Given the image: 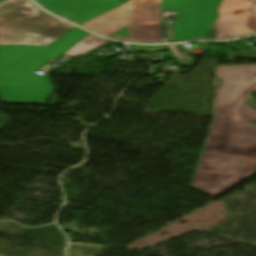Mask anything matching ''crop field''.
Returning <instances> with one entry per match:
<instances>
[{
	"mask_svg": "<svg viewBox=\"0 0 256 256\" xmlns=\"http://www.w3.org/2000/svg\"><path fill=\"white\" fill-rule=\"evenodd\" d=\"M222 80L213 105V121L199 163L256 166V110L237 102L256 82V66L218 67Z\"/></svg>",
	"mask_w": 256,
	"mask_h": 256,
	"instance_id": "8a807250",
	"label": "crop field"
},
{
	"mask_svg": "<svg viewBox=\"0 0 256 256\" xmlns=\"http://www.w3.org/2000/svg\"><path fill=\"white\" fill-rule=\"evenodd\" d=\"M49 11L101 35L162 42V0H36Z\"/></svg>",
	"mask_w": 256,
	"mask_h": 256,
	"instance_id": "ac0d7876",
	"label": "crop field"
},
{
	"mask_svg": "<svg viewBox=\"0 0 256 256\" xmlns=\"http://www.w3.org/2000/svg\"><path fill=\"white\" fill-rule=\"evenodd\" d=\"M87 33L72 28L49 46H0V94L4 102L45 103L54 91L48 77L33 71L57 58Z\"/></svg>",
	"mask_w": 256,
	"mask_h": 256,
	"instance_id": "34b2d1b8",
	"label": "crop field"
},
{
	"mask_svg": "<svg viewBox=\"0 0 256 256\" xmlns=\"http://www.w3.org/2000/svg\"><path fill=\"white\" fill-rule=\"evenodd\" d=\"M70 28L40 12L27 0L0 4V45H48Z\"/></svg>",
	"mask_w": 256,
	"mask_h": 256,
	"instance_id": "412701ff",
	"label": "crop field"
},
{
	"mask_svg": "<svg viewBox=\"0 0 256 256\" xmlns=\"http://www.w3.org/2000/svg\"><path fill=\"white\" fill-rule=\"evenodd\" d=\"M223 0H163V11L176 10L178 24L166 25L168 40L199 39L219 16Z\"/></svg>",
	"mask_w": 256,
	"mask_h": 256,
	"instance_id": "f4fd0767",
	"label": "crop field"
},
{
	"mask_svg": "<svg viewBox=\"0 0 256 256\" xmlns=\"http://www.w3.org/2000/svg\"><path fill=\"white\" fill-rule=\"evenodd\" d=\"M219 13L217 39L256 31V0H224Z\"/></svg>",
	"mask_w": 256,
	"mask_h": 256,
	"instance_id": "dd49c442",
	"label": "crop field"
},
{
	"mask_svg": "<svg viewBox=\"0 0 256 256\" xmlns=\"http://www.w3.org/2000/svg\"><path fill=\"white\" fill-rule=\"evenodd\" d=\"M192 187L216 195L254 173L256 167L199 164Z\"/></svg>",
	"mask_w": 256,
	"mask_h": 256,
	"instance_id": "e52e79f7",
	"label": "crop field"
},
{
	"mask_svg": "<svg viewBox=\"0 0 256 256\" xmlns=\"http://www.w3.org/2000/svg\"><path fill=\"white\" fill-rule=\"evenodd\" d=\"M107 43L109 42H105L102 39L95 37L93 35H87V37H85L72 48H70L65 54L71 57H78L94 49H97Z\"/></svg>",
	"mask_w": 256,
	"mask_h": 256,
	"instance_id": "d8731c3e",
	"label": "crop field"
},
{
	"mask_svg": "<svg viewBox=\"0 0 256 256\" xmlns=\"http://www.w3.org/2000/svg\"><path fill=\"white\" fill-rule=\"evenodd\" d=\"M217 27H218V19L215 21V23L211 26V28L205 34L204 38H206V39H216Z\"/></svg>",
	"mask_w": 256,
	"mask_h": 256,
	"instance_id": "5a996713",
	"label": "crop field"
},
{
	"mask_svg": "<svg viewBox=\"0 0 256 256\" xmlns=\"http://www.w3.org/2000/svg\"><path fill=\"white\" fill-rule=\"evenodd\" d=\"M255 87H256V83H254V84L250 85L249 87L245 88V90L243 91V93H242V95L239 99V102L242 101L243 99H245L244 94H245L246 91L250 92Z\"/></svg>",
	"mask_w": 256,
	"mask_h": 256,
	"instance_id": "3316defc",
	"label": "crop field"
},
{
	"mask_svg": "<svg viewBox=\"0 0 256 256\" xmlns=\"http://www.w3.org/2000/svg\"><path fill=\"white\" fill-rule=\"evenodd\" d=\"M215 78H216V83H217L216 94H215V97H216V95L218 93V90H219V86H220L221 81L216 76H215Z\"/></svg>",
	"mask_w": 256,
	"mask_h": 256,
	"instance_id": "28ad6ade",
	"label": "crop field"
},
{
	"mask_svg": "<svg viewBox=\"0 0 256 256\" xmlns=\"http://www.w3.org/2000/svg\"><path fill=\"white\" fill-rule=\"evenodd\" d=\"M0 1H2V0H0Z\"/></svg>",
	"mask_w": 256,
	"mask_h": 256,
	"instance_id": "d1516ede",
	"label": "crop field"
}]
</instances>
